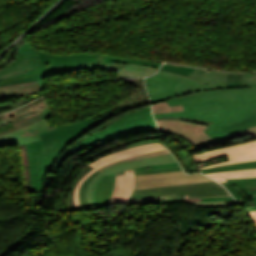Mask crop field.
<instances>
[{
	"instance_id": "crop-field-1",
	"label": "crop field",
	"mask_w": 256,
	"mask_h": 256,
	"mask_svg": "<svg viewBox=\"0 0 256 256\" xmlns=\"http://www.w3.org/2000/svg\"><path fill=\"white\" fill-rule=\"evenodd\" d=\"M170 106L183 104L184 111L158 114L161 117H188L214 122L204 133L218 141L228 134L220 128L256 114V73L243 75V88L196 92L167 100Z\"/></svg>"
},
{
	"instance_id": "crop-field-2",
	"label": "crop field",
	"mask_w": 256,
	"mask_h": 256,
	"mask_svg": "<svg viewBox=\"0 0 256 256\" xmlns=\"http://www.w3.org/2000/svg\"><path fill=\"white\" fill-rule=\"evenodd\" d=\"M93 121L91 119L71 128L42 132L40 135L43 141L26 144L31 165L32 192L39 194L43 176L51 172L65 147L85 135Z\"/></svg>"
},
{
	"instance_id": "crop-field-3",
	"label": "crop field",
	"mask_w": 256,
	"mask_h": 256,
	"mask_svg": "<svg viewBox=\"0 0 256 256\" xmlns=\"http://www.w3.org/2000/svg\"><path fill=\"white\" fill-rule=\"evenodd\" d=\"M146 131H157L155 121L151 114V107L133 112L126 117L120 118L110 124V126L104 131L89 136L73 149L84 155L89 151L116 139L133 133Z\"/></svg>"
},
{
	"instance_id": "crop-field-4",
	"label": "crop field",
	"mask_w": 256,
	"mask_h": 256,
	"mask_svg": "<svg viewBox=\"0 0 256 256\" xmlns=\"http://www.w3.org/2000/svg\"><path fill=\"white\" fill-rule=\"evenodd\" d=\"M155 120L160 133H169L180 136L195 145V147L188 148L190 152L224 143L238 136L250 135L251 137H256V126H254L230 134L224 139L216 142L203 133V131L212 124L211 122L191 120L187 118H161Z\"/></svg>"
},
{
	"instance_id": "crop-field-5",
	"label": "crop field",
	"mask_w": 256,
	"mask_h": 256,
	"mask_svg": "<svg viewBox=\"0 0 256 256\" xmlns=\"http://www.w3.org/2000/svg\"><path fill=\"white\" fill-rule=\"evenodd\" d=\"M37 51V50H36ZM40 61L35 68L11 75L0 79V86L10 85L21 82L39 80L41 86H44L43 78L45 71L64 69L85 63L101 62L102 54H76L67 56L49 55L37 51Z\"/></svg>"
},
{
	"instance_id": "crop-field-6",
	"label": "crop field",
	"mask_w": 256,
	"mask_h": 256,
	"mask_svg": "<svg viewBox=\"0 0 256 256\" xmlns=\"http://www.w3.org/2000/svg\"><path fill=\"white\" fill-rule=\"evenodd\" d=\"M174 194L175 198H198L212 196H231L223 186L215 181L175 185L169 187L134 190L131 198H144Z\"/></svg>"
},
{
	"instance_id": "crop-field-7",
	"label": "crop field",
	"mask_w": 256,
	"mask_h": 256,
	"mask_svg": "<svg viewBox=\"0 0 256 256\" xmlns=\"http://www.w3.org/2000/svg\"><path fill=\"white\" fill-rule=\"evenodd\" d=\"M49 106L45 97L16 111L0 116V136L41 120V111Z\"/></svg>"
},
{
	"instance_id": "crop-field-8",
	"label": "crop field",
	"mask_w": 256,
	"mask_h": 256,
	"mask_svg": "<svg viewBox=\"0 0 256 256\" xmlns=\"http://www.w3.org/2000/svg\"><path fill=\"white\" fill-rule=\"evenodd\" d=\"M49 110H50V108L47 107L46 109H44L42 111V114L44 116L41 117V118L43 120H41L37 123H34L32 125H29L25 128H22L20 130H17L15 132H12V133H9L7 135H4V136L0 137V142L7 143V144H10V145H15V144L23 145V144L29 143V142L40 141L41 138H40L38 132L49 131V130H54V129H61V128H67V127H71V126H74L76 124H79L81 122H84V121H81V122L73 123V124H70V125L51 127L49 125L47 119H46V118L50 117ZM111 110L102 112V113H100L96 116H99L103 113L110 112ZM96 116H94V117H96ZM91 118H93V117H91ZM91 118H89V119H91ZM89 119H87V120H89Z\"/></svg>"
},
{
	"instance_id": "crop-field-9",
	"label": "crop field",
	"mask_w": 256,
	"mask_h": 256,
	"mask_svg": "<svg viewBox=\"0 0 256 256\" xmlns=\"http://www.w3.org/2000/svg\"><path fill=\"white\" fill-rule=\"evenodd\" d=\"M134 189L146 187L169 186L183 183L210 181L201 174L185 175L183 171L135 176Z\"/></svg>"
},
{
	"instance_id": "crop-field-10",
	"label": "crop field",
	"mask_w": 256,
	"mask_h": 256,
	"mask_svg": "<svg viewBox=\"0 0 256 256\" xmlns=\"http://www.w3.org/2000/svg\"><path fill=\"white\" fill-rule=\"evenodd\" d=\"M146 87L151 97L152 104L176 97L174 88L182 82V80L156 74L155 76L145 78Z\"/></svg>"
},
{
	"instance_id": "crop-field-11",
	"label": "crop field",
	"mask_w": 256,
	"mask_h": 256,
	"mask_svg": "<svg viewBox=\"0 0 256 256\" xmlns=\"http://www.w3.org/2000/svg\"><path fill=\"white\" fill-rule=\"evenodd\" d=\"M18 55L15 61L8 67L0 70V78L8 75L29 70L38 65V56L32 46L24 43L18 50Z\"/></svg>"
},
{
	"instance_id": "crop-field-12",
	"label": "crop field",
	"mask_w": 256,
	"mask_h": 256,
	"mask_svg": "<svg viewBox=\"0 0 256 256\" xmlns=\"http://www.w3.org/2000/svg\"><path fill=\"white\" fill-rule=\"evenodd\" d=\"M134 184V173L116 177L111 203H127L132 194Z\"/></svg>"
},
{
	"instance_id": "crop-field-13",
	"label": "crop field",
	"mask_w": 256,
	"mask_h": 256,
	"mask_svg": "<svg viewBox=\"0 0 256 256\" xmlns=\"http://www.w3.org/2000/svg\"><path fill=\"white\" fill-rule=\"evenodd\" d=\"M164 149H166V148H164L163 146L156 144V143L144 145V146H138V147H134L132 149H127L125 151H121V152H118V153H115L112 155H108L90 165L92 167L98 169L100 166L106 165V164L110 163L111 161H114V160H117L120 158L137 155V154H141V153H146V152L164 150Z\"/></svg>"
},
{
	"instance_id": "crop-field-14",
	"label": "crop field",
	"mask_w": 256,
	"mask_h": 256,
	"mask_svg": "<svg viewBox=\"0 0 256 256\" xmlns=\"http://www.w3.org/2000/svg\"><path fill=\"white\" fill-rule=\"evenodd\" d=\"M149 103L148 95H139L134 97H129L125 101H123L121 104H119L118 108L112 110L110 113L101 115L99 117L94 118V122L89 128H94L97 125L101 124L102 122L106 121L107 119L117 115L120 112L125 111L126 109H131L135 107H139L140 105Z\"/></svg>"
},
{
	"instance_id": "crop-field-15",
	"label": "crop field",
	"mask_w": 256,
	"mask_h": 256,
	"mask_svg": "<svg viewBox=\"0 0 256 256\" xmlns=\"http://www.w3.org/2000/svg\"><path fill=\"white\" fill-rule=\"evenodd\" d=\"M158 73L184 80L181 84H179L175 88L178 96L183 95V94H187V93H191V92H195V91L215 89V88H212L208 85L200 83L196 80H193L189 77H183V76H180V75L171 74V73H167V72H164V71H159Z\"/></svg>"
},
{
	"instance_id": "crop-field-16",
	"label": "crop field",
	"mask_w": 256,
	"mask_h": 256,
	"mask_svg": "<svg viewBox=\"0 0 256 256\" xmlns=\"http://www.w3.org/2000/svg\"><path fill=\"white\" fill-rule=\"evenodd\" d=\"M251 149H256V141L235 146V147H230V148H225V149H220V150H215L207 153L194 155L193 158L196 162H200V161H205V160L213 159L216 157L226 156L229 154H233V153H237L245 150H251Z\"/></svg>"
},
{
	"instance_id": "crop-field-17",
	"label": "crop field",
	"mask_w": 256,
	"mask_h": 256,
	"mask_svg": "<svg viewBox=\"0 0 256 256\" xmlns=\"http://www.w3.org/2000/svg\"><path fill=\"white\" fill-rule=\"evenodd\" d=\"M115 184V177H104L96 189V199L98 208L110 203L112 191Z\"/></svg>"
},
{
	"instance_id": "crop-field-18",
	"label": "crop field",
	"mask_w": 256,
	"mask_h": 256,
	"mask_svg": "<svg viewBox=\"0 0 256 256\" xmlns=\"http://www.w3.org/2000/svg\"><path fill=\"white\" fill-rule=\"evenodd\" d=\"M172 162H176V160L174 159V157L172 155H170V156H164V157H159V158H154V159H145V160L125 163V164L110 168L103 173L105 175H107V174H110V173H113L116 171H120V170H124V169H128V168L151 165V164L172 163Z\"/></svg>"
},
{
	"instance_id": "crop-field-19",
	"label": "crop field",
	"mask_w": 256,
	"mask_h": 256,
	"mask_svg": "<svg viewBox=\"0 0 256 256\" xmlns=\"http://www.w3.org/2000/svg\"><path fill=\"white\" fill-rule=\"evenodd\" d=\"M206 175L216 180L219 183H223V182H226V179H231V178L256 177V169L230 171V172H218V173H210Z\"/></svg>"
},
{
	"instance_id": "crop-field-20",
	"label": "crop field",
	"mask_w": 256,
	"mask_h": 256,
	"mask_svg": "<svg viewBox=\"0 0 256 256\" xmlns=\"http://www.w3.org/2000/svg\"><path fill=\"white\" fill-rule=\"evenodd\" d=\"M170 154L171 153L168 150L152 152V153H146V154L137 155V156H133V157H129V158H125V159L114 161V162H112V163H110V164H108L106 166H103V167L99 168L98 170L103 172L104 170H106V169H108L110 167L116 166V165L124 163V162H130V161L140 160V159H144V158H154V157L170 155Z\"/></svg>"
},
{
	"instance_id": "crop-field-21",
	"label": "crop field",
	"mask_w": 256,
	"mask_h": 256,
	"mask_svg": "<svg viewBox=\"0 0 256 256\" xmlns=\"http://www.w3.org/2000/svg\"><path fill=\"white\" fill-rule=\"evenodd\" d=\"M250 168H256V161L232 164V165L217 166V167L202 169L200 171L203 172L204 174H206V173H210V172L241 170V169H250Z\"/></svg>"
},
{
	"instance_id": "crop-field-22",
	"label": "crop field",
	"mask_w": 256,
	"mask_h": 256,
	"mask_svg": "<svg viewBox=\"0 0 256 256\" xmlns=\"http://www.w3.org/2000/svg\"><path fill=\"white\" fill-rule=\"evenodd\" d=\"M228 158L230 160L228 162H222V163L207 166V167L256 160V150L246 151V152H241V153L229 155ZM207 167H201L200 169L207 168Z\"/></svg>"
},
{
	"instance_id": "crop-field-23",
	"label": "crop field",
	"mask_w": 256,
	"mask_h": 256,
	"mask_svg": "<svg viewBox=\"0 0 256 256\" xmlns=\"http://www.w3.org/2000/svg\"><path fill=\"white\" fill-rule=\"evenodd\" d=\"M256 125V115L232 123L222 128L228 134Z\"/></svg>"
},
{
	"instance_id": "crop-field-24",
	"label": "crop field",
	"mask_w": 256,
	"mask_h": 256,
	"mask_svg": "<svg viewBox=\"0 0 256 256\" xmlns=\"http://www.w3.org/2000/svg\"><path fill=\"white\" fill-rule=\"evenodd\" d=\"M146 167H148V169ZM178 167H180L178 163L151 165V166L133 168V169L117 172V173H113V174H110L107 176H118V175L128 174V173H132V172L152 171V170H158V169H168V168H178Z\"/></svg>"
},
{
	"instance_id": "crop-field-25",
	"label": "crop field",
	"mask_w": 256,
	"mask_h": 256,
	"mask_svg": "<svg viewBox=\"0 0 256 256\" xmlns=\"http://www.w3.org/2000/svg\"><path fill=\"white\" fill-rule=\"evenodd\" d=\"M99 173H101L100 171L96 170L92 175H90L88 178H86L79 190V198H80V203H81V208L82 210H86V209H90L88 206V203L86 201V189L90 183V181L96 177Z\"/></svg>"
},
{
	"instance_id": "crop-field-26",
	"label": "crop field",
	"mask_w": 256,
	"mask_h": 256,
	"mask_svg": "<svg viewBox=\"0 0 256 256\" xmlns=\"http://www.w3.org/2000/svg\"><path fill=\"white\" fill-rule=\"evenodd\" d=\"M94 168H92L90 165H88L87 167H85L78 179H76V181L74 182L73 186H72V189L71 191L68 193V196H67V206H68V211H76L75 210V206H74V200H73V193H74V189L75 187L77 186V184L79 183L80 179L82 177H84L86 174H88L91 170H93Z\"/></svg>"
},
{
	"instance_id": "crop-field-27",
	"label": "crop field",
	"mask_w": 256,
	"mask_h": 256,
	"mask_svg": "<svg viewBox=\"0 0 256 256\" xmlns=\"http://www.w3.org/2000/svg\"><path fill=\"white\" fill-rule=\"evenodd\" d=\"M152 106H153V114L175 112V111L183 110L182 105L170 107L166 101H162V102L153 104Z\"/></svg>"
},
{
	"instance_id": "crop-field-28",
	"label": "crop field",
	"mask_w": 256,
	"mask_h": 256,
	"mask_svg": "<svg viewBox=\"0 0 256 256\" xmlns=\"http://www.w3.org/2000/svg\"><path fill=\"white\" fill-rule=\"evenodd\" d=\"M161 70L176 73V74H180V75H184V76H188L195 69L190 68V67H184V66L163 65Z\"/></svg>"
},
{
	"instance_id": "crop-field-29",
	"label": "crop field",
	"mask_w": 256,
	"mask_h": 256,
	"mask_svg": "<svg viewBox=\"0 0 256 256\" xmlns=\"http://www.w3.org/2000/svg\"><path fill=\"white\" fill-rule=\"evenodd\" d=\"M102 62H132V63H138L143 65H150L158 68L161 63L158 62H145V61H139V60H131V59H118L115 57L104 55Z\"/></svg>"
},
{
	"instance_id": "crop-field-30",
	"label": "crop field",
	"mask_w": 256,
	"mask_h": 256,
	"mask_svg": "<svg viewBox=\"0 0 256 256\" xmlns=\"http://www.w3.org/2000/svg\"><path fill=\"white\" fill-rule=\"evenodd\" d=\"M242 87V75L227 74L226 88H240Z\"/></svg>"
},
{
	"instance_id": "crop-field-31",
	"label": "crop field",
	"mask_w": 256,
	"mask_h": 256,
	"mask_svg": "<svg viewBox=\"0 0 256 256\" xmlns=\"http://www.w3.org/2000/svg\"><path fill=\"white\" fill-rule=\"evenodd\" d=\"M238 185L250 198L256 195V189L250 190V187H256V183H223Z\"/></svg>"
},
{
	"instance_id": "crop-field-32",
	"label": "crop field",
	"mask_w": 256,
	"mask_h": 256,
	"mask_svg": "<svg viewBox=\"0 0 256 256\" xmlns=\"http://www.w3.org/2000/svg\"><path fill=\"white\" fill-rule=\"evenodd\" d=\"M196 205L200 206H212V207H219V206H227V205H239L236 201H218V202H191Z\"/></svg>"
},
{
	"instance_id": "crop-field-33",
	"label": "crop field",
	"mask_w": 256,
	"mask_h": 256,
	"mask_svg": "<svg viewBox=\"0 0 256 256\" xmlns=\"http://www.w3.org/2000/svg\"><path fill=\"white\" fill-rule=\"evenodd\" d=\"M176 201H217V200H234L233 197H212L198 199H175Z\"/></svg>"
},
{
	"instance_id": "crop-field-34",
	"label": "crop field",
	"mask_w": 256,
	"mask_h": 256,
	"mask_svg": "<svg viewBox=\"0 0 256 256\" xmlns=\"http://www.w3.org/2000/svg\"><path fill=\"white\" fill-rule=\"evenodd\" d=\"M102 175H103V173H101V174L98 175L95 179H93V180L91 181V183H90L88 189H87V201H88L89 206H90L91 209H92V208H95L94 205H93V202H92L91 188H92V186L94 185V183L96 182V180H97L100 176H102Z\"/></svg>"
},
{
	"instance_id": "crop-field-35",
	"label": "crop field",
	"mask_w": 256,
	"mask_h": 256,
	"mask_svg": "<svg viewBox=\"0 0 256 256\" xmlns=\"http://www.w3.org/2000/svg\"><path fill=\"white\" fill-rule=\"evenodd\" d=\"M173 195L165 196V197H156V198H144V199H130L129 202H148V201H156V200H164V199H172Z\"/></svg>"
},
{
	"instance_id": "crop-field-36",
	"label": "crop field",
	"mask_w": 256,
	"mask_h": 256,
	"mask_svg": "<svg viewBox=\"0 0 256 256\" xmlns=\"http://www.w3.org/2000/svg\"><path fill=\"white\" fill-rule=\"evenodd\" d=\"M95 171V169L93 171H91L88 175H86L84 178L81 179L80 183L78 184V186L76 187L75 189V193H74V199H75V205H76V210H81L80 208V203H79V199H78V189H79V186L80 184L82 183V181L87 177L89 176L91 173H93Z\"/></svg>"
},
{
	"instance_id": "crop-field-37",
	"label": "crop field",
	"mask_w": 256,
	"mask_h": 256,
	"mask_svg": "<svg viewBox=\"0 0 256 256\" xmlns=\"http://www.w3.org/2000/svg\"><path fill=\"white\" fill-rule=\"evenodd\" d=\"M224 186L234 196V198L243 206L245 201L229 185Z\"/></svg>"
},
{
	"instance_id": "crop-field-38",
	"label": "crop field",
	"mask_w": 256,
	"mask_h": 256,
	"mask_svg": "<svg viewBox=\"0 0 256 256\" xmlns=\"http://www.w3.org/2000/svg\"><path fill=\"white\" fill-rule=\"evenodd\" d=\"M178 170H182V169L179 168V169H169V170H158V171H152V172H142V173H135V175L150 174V173H159V172H169V171H178Z\"/></svg>"
},
{
	"instance_id": "crop-field-39",
	"label": "crop field",
	"mask_w": 256,
	"mask_h": 256,
	"mask_svg": "<svg viewBox=\"0 0 256 256\" xmlns=\"http://www.w3.org/2000/svg\"><path fill=\"white\" fill-rule=\"evenodd\" d=\"M70 189H71V188L66 189L65 193H64L63 196H62V201H61V205H60V210H66L64 203H66V195H67V193L69 192Z\"/></svg>"
},
{
	"instance_id": "crop-field-40",
	"label": "crop field",
	"mask_w": 256,
	"mask_h": 256,
	"mask_svg": "<svg viewBox=\"0 0 256 256\" xmlns=\"http://www.w3.org/2000/svg\"><path fill=\"white\" fill-rule=\"evenodd\" d=\"M147 106H150V103L148 105L141 106L140 108H135V109H132V110H127L126 112L119 114V116L120 117L125 116V115H127V114H129V113H131L133 111L141 110V109H143V108H145Z\"/></svg>"
},
{
	"instance_id": "crop-field-41",
	"label": "crop field",
	"mask_w": 256,
	"mask_h": 256,
	"mask_svg": "<svg viewBox=\"0 0 256 256\" xmlns=\"http://www.w3.org/2000/svg\"><path fill=\"white\" fill-rule=\"evenodd\" d=\"M152 142H157V143L163 145L162 142H160V141H158V140H155V141H147V142H140V143L132 144V145H129V148H132V147L138 146V145H144V144L152 143ZM163 146H164V145H163ZM164 147H165V146H164Z\"/></svg>"
},
{
	"instance_id": "crop-field-42",
	"label": "crop field",
	"mask_w": 256,
	"mask_h": 256,
	"mask_svg": "<svg viewBox=\"0 0 256 256\" xmlns=\"http://www.w3.org/2000/svg\"><path fill=\"white\" fill-rule=\"evenodd\" d=\"M104 176H105V175H104ZM104 176H102L101 178L98 179V181L95 183V185H94V187H93V189H92L93 201H94V205H95L96 208H97V206H96V200H95V188H96L98 182H99Z\"/></svg>"
},
{
	"instance_id": "crop-field-43",
	"label": "crop field",
	"mask_w": 256,
	"mask_h": 256,
	"mask_svg": "<svg viewBox=\"0 0 256 256\" xmlns=\"http://www.w3.org/2000/svg\"><path fill=\"white\" fill-rule=\"evenodd\" d=\"M175 200H165V201H157V202H149V203H129V204H156V203H167V202H174Z\"/></svg>"
},
{
	"instance_id": "crop-field-44",
	"label": "crop field",
	"mask_w": 256,
	"mask_h": 256,
	"mask_svg": "<svg viewBox=\"0 0 256 256\" xmlns=\"http://www.w3.org/2000/svg\"><path fill=\"white\" fill-rule=\"evenodd\" d=\"M230 181H256V178H248V179H231V180H227V182Z\"/></svg>"
},
{
	"instance_id": "crop-field-45",
	"label": "crop field",
	"mask_w": 256,
	"mask_h": 256,
	"mask_svg": "<svg viewBox=\"0 0 256 256\" xmlns=\"http://www.w3.org/2000/svg\"><path fill=\"white\" fill-rule=\"evenodd\" d=\"M252 200H253V202H254V204H255V206H256V196H254V197L252 198ZM250 210H256V207H249V208L247 209V211H250Z\"/></svg>"
},
{
	"instance_id": "crop-field-46",
	"label": "crop field",
	"mask_w": 256,
	"mask_h": 256,
	"mask_svg": "<svg viewBox=\"0 0 256 256\" xmlns=\"http://www.w3.org/2000/svg\"><path fill=\"white\" fill-rule=\"evenodd\" d=\"M249 214L251 215L252 219L256 223V211H251V212H249Z\"/></svg>"
},
{
	"instance_id": "crop-field-47",
	"label": "crop field",
	"mask_w": 256,
	"mask_h": 256,
	"mask_svg": "<svg viewBox=\"0 0 256 256\" xmlns=\"http://www.w3.org/2000/svg\"><path fill=\"white\" fill-rule=\"evenodd\" d=\"M106 122H107L108 124L105 125V126H103L102 129L99 128V131L105 129L107 126H109L110 123H112V122H114V121H112V120L109 119V120L106 121Z\"/></svg>"
},
{
	"instance_id": "crop-field-48",
	"label": "crop field",
	"mask_w": 256,
	"mask_h": 256,
	"mask_svg": "<svg viewBox=\"0 0 256 256\" xmlns=\"http://www.w3.org/2000/svg\"><path fill=\"white\" fill-rule=\"evenodd\" d=\"M90 134H93V133H92L91 131H89L86 135H88V136H89Z\"/></svg>"
}]
</instances>
